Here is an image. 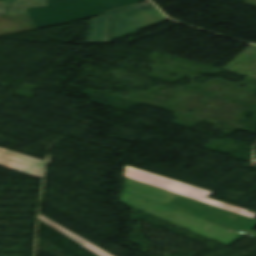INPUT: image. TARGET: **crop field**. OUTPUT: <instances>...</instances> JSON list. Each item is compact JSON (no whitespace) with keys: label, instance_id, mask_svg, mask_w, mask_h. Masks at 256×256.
<instances>
[{"label":"crop field","instance_id":"crop-field-1","mask_svg":"<svg viewBox=\"0 0 256 256\" xmlns=\"http://www.w3.org/2000/svg\"><path fill=\"white\" fill-rule=\"evenodd\" d=\"M175 196L169 192L125 178L120 202L194 231L226 246L244 234L164 206Z\"/></svg>","mask_w":256,"mask_h":256},{"label":"crop field","instance_id":"crop-field-2","mask_svg":"<svg viewBox=\"0 0 256 256\" xmlns=\"http://www.w3.org/2000/svg\"><path fill=\"white\" fill-rule=\"evenodd\" d=\"M144 0H47V6L25 8L34 28L83 20Z\"/></svg>","mask_w":256,"mask_h":256},{"label":"crop field","instance_id":"crop-field-3","mask_svg":"<svg viewBox=\"0 0 256 256\" xmlns=\"http://www.w3.org/2000/svg\"><path fill=\"white\" fill-rule=\"evenodd\" d=\"M124 177L155 186L157 188L169 191L174 194H180L252 219L256 217V214L248 212L246 211V209L206 198L213 192L206 191L174 180H170L135 168L125 166Z\"/></svg>","mask_w":256,"mask_h":256},{"label":"crop field","instance_id":"crop-field-4","mask_svg":"<svg viewBox=\"0 0 256 256\" xmlns=\"http://www.w3.org/2000/svg\"><path fill=\"white\" fill-rule=\"evenodd\" d=\"M166 206L256 237V232L249 230L256 225V220H252L215 207L209 208L207 207V204L180 195L166 204Z\"/></svg>","mask_w":256,"mask_h":256},{"label":"crop field","instance_id":"crop-field-5","mask_svg":"<svg viewBox=\"0 0 256 256\" xmlns=\"http://www.w3.org/2000/svg\"><path fill=\"white\" fill-rule=\"evenodd\" d=\"M155 8L150 2L126 7L93 19L89 26L87 43L113 42L115 21Z\"/></svg>","mask_w":256,"mask_h":256},{"label":"crop field","instance_id":"crop-field-6","mask_svg":"<svg viewBox=\"0 0 256 256\" xmlns=\"http://www.w3.org/2000/svg\"><path fill=\"white\" fill-rule=\"evenodd\" d=\"M0 166L44 179L46 162L0 148Z\"/></svg>","mask_w":256,"mask_h":256},{"label":"crop field","instance_id":"crop-field-7","mask_svg":"<svg viewBox=\"0 0 256 256\" xmlns=\"http://www.w3.org/2000/svg\"><path fill=\"white\" fill-rule=\"evenodd\" d=\"M168 20L157 8L117 21L114 39Z\"/></svg>","mask_w":256,"mask_h":256},{"label":"crop field","instance_id":"crop-field-8","mask_svg":"<svg viewBox=\"0 0 256 256\" xmlns=\"http://www.w3.org/2000/svg\"><path fill=\"white\" fill-rule=\"evenodd\" d=\"M46 5V0H8L9 14L24 12L25 7Z\"/></svg>","mask_w":256,"mask_h":256},{"label":"crop field","instance_id":"crop-field-9","mask_svg":"<svg viewBox=\"0 0 256 256\" xmlns=\"http://www.w3.org/2000/svg\"><path fill=\"white\" fill-rule=\"evenodd\" d=\"M0 14H6L5 1H0Z\"/></svg>","mask_w":256,"mask_h":256}]
</instances>
